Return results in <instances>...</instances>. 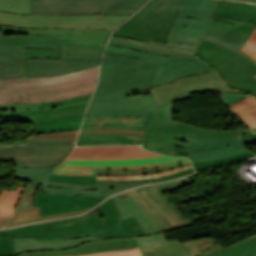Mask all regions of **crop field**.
Segmentation results:
<instances>
[{
    "mask_svg": "<svg viewBox=\"0 0 256 256\" xmlns=\"http://www.w3.org/2000/svg\"><path fill=\"white\" fill-rule=\"evenodd\" d=\"M113 30L88 29H25L0 26V35L45 34L63 35V41L105 45Z\"/></svg>",
    "mask_w": 256,
    "mask_h": 256,
    "instance_id": "733c2abd",
    "label": "crop field"
},
{
    "mask_svg": "<svg viewBox=\"0 0 256 256\" xmlns=\"http://www.w3.org/2000/svg\"><path fill=\"white\" fill-rule=\"evenodd\" d=\"M98 207L100 208L101 214L104 218L105 225L108 226L116 224V229L119 228V215L113 199H108Z\"/></svg>",
    "mask_w": 256,
    "mask_h": 256,
    "instance_id": "c035e120",
    "label": "crop field"
},
{
    "mask_svg": "<svg viewBox=\"0 0 256 256\" xmlns=\"http://www.w3.org/2000/svg\"><path fill=\"white\" fill-rule=\"evenodd\" d=\"M254 132H256V129H252Z\"/></svg>",
    "mask_w": 256,
    "mask_h": 256,
    "instance_id": "c39391a2",
    "label": "crop field"
},
{
    "mask_svg": "<svg viewBox=\"0 0 256 256\" xmlns=\"http://www.w3.org/2000/svg\"><path fill=\"white\" fill-rule=\"evenodd\" d=\"M218 0H185L168 42L198 44Z\"/></svg>",
    "mask_w": 256,
    "mask_h": 256,
    "instance_id": "28ad6ade",
    "label": "crop field"
},
{
    "mask_svg": "<svg viewBox=\"0 0 256 256\" xmlns=\"http://www.w3.org/2000/svg\"><path fill=\"white\" fill-rule=\"evenodd\" d=\"M164 156L144 151L140 146L75 147L67 159L104 160Z\"/></svg>",
    "mask_w": 256,
    "mask_h": 256,
    "instance_id": "bc2a9ffb",
    "label": "crop field"
},
{
    "mask_svg": "<svg viewBox=\"0 0 256 256\" xmlns=\"http://www.w3.org/2000/svg\"><path fill=\"white\" fill-rule=\"evenodd\" d=\"M241 137L246 144L256 143V134L241 135Z\"/></svg>",
    "mask_w": 256,
    "mask_h": 256,
    "instance_id": "0f1d7ab4",
    "label": "crop field"
},
{
    "mask_svg": "<svg viewBox=\"0 0 256 256\" xmlns=\"http://www.w3.org/2000/svg\"><path fill=\"white\" fill-rule=\"evenodd\" d=\"M25 181L20 182L17 189L3 190L0 194V216H11Z\"/></svg>",
    "mask_w": 256,
    "mask_h": 256,
    "instance_id": "028f5c9d",
    "label": "crop field"
},
{
    "mask_svg": "<svg viewBox=\"0 0 256 256\" xmlns=\"http://www.w3.org/2000/svg\"><path fill=\"white\" fill-rule=\"evenodd\" d=\"M253 155L254 154H252L250 152H246V153H242V154L231 156V157H227V158H221V159H215V160L195 163V164H193V166H194L195 170H202V169H206V168H209V167H212V166L222 165L224 163H228V162H232V161H237V160H241V159H244V158H248V157H251Z\"/></svg>",
    "mask_w": 256,
    "mask_h": 256,
    "instance_id": "03da06ac",
    "label": "crop field"
},
{
    "mask_svg": "<svg viewBox=\"0 0 256 256\" xmlns=\"http://www.w3.org/2000/svg\"><path fill=\"white\" fill-rule=\"evenodd\" d=\"M14 178H18V179L26 180V181H29V182L41 184L43 186L59 187V188H72V189H91V190H95V188H129V187H133V186H136V185L152 183L151 181L134 182V183L96 182V185H87V184H71V183L48 182L49 178L34 177V176L19 175V174H15Z\"/></svg>",
    "mask_w": 256,
    "mask_h": 256,
    "instance_id": "730fd06b",
    "label": "crop field"
},
{
    "mask_svg": "<svg viewBox=\"0 0 256 256\" xmlns=\"http://www.w3.org/2000/svg\"><path fill=\"white\" fill-rule=\"evenodd\" d=\"M83 117L36 123L37 135L79 129Z\"/></svg>",
    "mask_w": 256,
    "mask_h": 256,
    "instance_id": "120bbe31",
    "label": "crop field"
},
{
    "mask_svg": "<svg viewBox=\"0 0 256 256\" xmlns=\"http://www.w3.org/2000/svg\"><path fill=\"white\" fill-rule=\"evenodd\" d=\"M189 183L191 180L186 177L165 184L136 188L116 195V197L135 196L163 232L193 224L162 194Z\"/></svg>",
    "mask_w": 256,
    "mask_h": 256,
    "instance_id": "f4fd0767",
    "label": "crop field"
},
{
    "mask_svg": "<svg viewBox=\"0 0 256 256\" xmlns=\"http://www.w3.org/2000/svg\"><path fill=\"white\" fill-rule=\"evenodd\" d=\"M148 0H102V13L133 14Z\"/></svg>",
    "mask_w": 256,
    "mask_h": 256,
    "instance_id": "bd1437ed",
    "label": "crop field"
},
{
    "mask_svg": "<svg viewBox=\"0 0 256 256\" xmlns=\"http://www.w3.org/2000/svg\"><path fill=\"white\" fill-rule=\"evenodd\" d=\"M229 108L242 117L250 128H256V97L251 95Z\"/></svg>",
    "mask_w": 256,
    "mask_h": 256,
    "instance_id": "5866460e",
    "label": "crop field"
},
{
    "mask_svg": "<svg viewBox=\"0 0 256 256\" xmlns=\"http://www.w3.org/2000/svg\"><path fill=\"white\" fill-rule=\"evenodd\" d=\"M88 210H90V209L56 214V215H50V216H44V217H41L39 207L18 210V211H15L13 219L11 218L12 220H10V222L3 228L13 227V226H17V225H21V224H25V223L36 222V221L79 215Z\"/></svg>",
    "mask_w": 256,
    "mask_h": 256,
    "instance_id": "eef30255",
    "label": "crop field"
},
{
    "mask_svg": "<svg viewBox=\"0 0 256 256\" xmlns=\"http://www.w3.org/2000/svg\"><path fill=\"white\" fill-rule=\"evenodd\" d=\"M73 145H23L0 148V160H15L16 167L52 168L66 158Z\"/></svg>",
    "mask_w": 256,
    "mask_h": 256,
    "instance_id": "22f410ed",
    "label": "crop field"
},
{
    "mask_svg": "<svg viewBox=\"0 0 256 256\" xmlns=\"http://www.w3.org/2000/svg\"><path fill=\"white\" fill-rule=\"evenodd\" d=\"M142 147L146 150L166 154V155H178L185 153L184 148H178L174 146L168 145H160V144H142Z\"/></svg>",
    "mask_w": 256,
    "mask_h": 256,
    "instance_id": "25e5ab78",
    "label": "crop field"
},
{
    "mask_svg": "<svg viewBox=\"0 0 256 256\" xmlns=\"http://www.w3.org/2000/svg\"><path fill=\"white\" fill-rule=\"evenodd\" d=\"M144 120L135 119H85L81 128H133L144 129Z\"/></svg>",
    "mask_w": 256,
    "mask_h": 256,
    "instance_id": "d3111659",
    "label": "crop field"
},
{
    "mask_svg": "<svg viewBox=\"0 0 256 256\" xmlns=\"http://www.w3.org/2000/svg\"><path fill=\"white\" fill-rule=\"evenodd\" d=\"M98 75L39 86L38 78L0 80V104L38 103L92 94Z\"/></svg>",
    "mask_w": 256,
    "mask_h": 256,
    "instance_id": "34b2d1b8",
    "label": "crop field"
},
{
    "mask_svg": "<svg viewBox=\"0 0 256 256\" xmlns=\"http://www.w3.org/2000/svg\"><path fill=\"white\" fill-rule=\"evenodd\" d=\"M249 95H245V94H231V93H224L221 96V99L223 100V102L229 107L232 104H234L235 102L247 97Z\"/></svg>",
    "mask_w": 256,
    "mask_h": 256,
    "instance_id": "db79e9e6",
    "label": "crop field"
},
{
    "mask_svg": "<svg viewBox=\"0 0 256 256\" xmlns=\"http://www.w3.org/2000/svg\"><path fill=\"white\" fill-rule=\"evenodd\" d=\"M176 80L177 82L151 89L149 94H152L157 105L171 99L175 102L190 97L194 91L246 93L229 88L216 70Z\"/></svg>",
    "mask_w": 256,
    "mask_h": 256,
    "instance_id": "d1516ede",
    "label": "crop field"
},
{
    "mask_svg": "<svg viewBox=\"0 0 256 256\" xmlns=\"http://www.w3.org/2000/svg\"><path fill=\"white\" fill-rule=\"evenodd\" d=\"M144 235L141 228L137 224L134 217L120 220V229L100 233V234H85V235H68V239L71 238H80V237H87V236H98L102 238H114V237H126V236H141Z\"/></svg>",
    "mask_w": 256,
    "mask_h": 256,
    "instance_id": "750c4746",
    "label": "crop field"
},
{
    "mask_svg": "<svg viewBox=\"0 0 256 256\" xmlns=\"http://www.w3.org/2000/svg\"><path fill=\"white\" fill-rule=\"evenodd\" d=\"M61 50L26 49V58H54L60 59Z\"/></svg>",
    "mask_w": 256,
    "mask_h": 256,
    "instance_id": "1f2cbd36",
    "label": "crop field"
},
{
    "mask_svg": "<svg viewBox=\"0 0 256 256\" xmlns=\"http://www.w3.org/2000/svg\"><path fill=\"white\" fill-rule=\"evenodd\" d=\"M192 168V165L180 167L175 170H169L167 172H160L156 174H149V175H139V176H96V179H148V178H156L164 175H168L180 170Z\"/></svg>",
    "mask_w": 256,
    "mask_h": 256,
    "instance_id": "73cf0c24",
    "label": "crop field"
},
{
    "mask_svg": "<svg viewBox=\"0 0 256 256\" xmlns=\"http://www.w3.org/2000/svg\"><path fill=\"white\" fill-rule=\"evenodd\" d=\"M125 189H96V191L91 190H72V189H58L44 187L43 193H54L63 195H79V196H92V197H108L115 192L122 191Z\"/></svg>",
    "mask_w": 256,
    "mask_h": 256,
    "instance_id": "e1f06a70",
    "label": "crop field"
},
{
    "mask_svg": "<svg viewBox=\"0 0 256 256\" xmlns=\"http://www.w3.org/2000/svg\"><path fill=\"white\" fill-rule=\"evenodd\" d=\"M139 246L165 242L166 239L163 233L152 234L148 236L135 237Z\"/></svg>",
    "mask_w": 256,
    "mask_h": 256,
    "instance_id": "0765c3eb",
    "label": "crop field"
},
{
    "mask_svg": "<svg viewBox=\"0 0 256 256\" xmlns=\"http://www.w3.org/2000/svg\"><path fill=\"white\" fill-rule=\"evenodd\" d=\"M42 191L43 187L40 186L34 203L35 207L40 206L42 216L91 208L104 200V198L42 194Z\"/></svg>",
    "mask_w": 256,
    "mask_h": 256,
    "instance_id": "4a817a6b",
    "label": "crop field"
},
{
    "mask_svg": "<svg viewBox=\"0 0 256 256\" xmlns=\"http://www.w3.org/2000/svg\"><path fill=\"white\" fill-rule=\"evenodd\" d=\"M10 217H0V228L9 221Z\"/></svg>",
    "mask_w": 256,
    "mask_h": 256,
    "instance_id": "ae633e8c",
    "label": "crop field"
},
{
    "mask_svg": "<svg viewBox=\"0 0 256 256\" xmlns=\"http://www.w3.org/2000/svg\"><path fill=\"white\" fill-rule=\"evenodd\" d=\"M194 170L192 169H188V170H184V171H180L168 176H164V177H160V178H156V179H149L152 180L153 182L156 181H162V180H168V179H174V178H178L190 173H193ZM96 181H106V182H134V181H145V180H96Z\"/></svg>",
    "mask_w": 256,
    "mask_h": 256,
    "instance_id": "447ae74e",
    "label": "crop field"
},
{
    "mask_svg": "<svg viewBox=\"0 0 256 256\" xmlns=\"http://www.w3.org/2000/svg\"><path fill=\"white\" fill-rule=\"evenodd\" d=\"M138 246L134 237L114 238L107 240H99L94 242H87L79 247L60 250V251H41L23 253L19 256H61L73 254H86L94 252H103L111 250L126 249Z\"/></svg>",
    "mask_w": 256,
    "mask_h": 256,
    "instance_id": "dafd665d",
    "label": "crop field"
},
{
    "mask_svg": "<svg viewBox=\"0 0 256 256\" xmlns=\"http://www.w3.org/2000/svg\"><path fill=\"white\" fill-rule=\"evenodd\" d=\"M86 107L87 106L56 110V111L40 113V114H30V115H25V117L34 123L49 121V120H56V119H63V118H70V117H78V116L84 115Z\"/></svg>",
    "mask_w": 256,
    "mask_h": 256,
    "instance_id": "d32e631a",
    "label": "crop field"
},
{
    "mask_svg": "<svg viewBox=\"0 0 256 256\" xmlns=\"http://www.w3.org/2000/svg\"><path fill=\"white\" fill-rule=\"evenodd\" d=\"M114 229L115 225L105 227L103 218L98 213L0 230V234H14V237L32 236L41 241H50L67 239V234L99 233Z\"/></svg>",
    "mask_w": 256,
    "mask_h": 256,
    "instance_id": "5a996713",
    "label": "crop field"
},
{
    "mask_svg": "<svg viewBox=\"0 0 256 256\" xmlns=\"http://www.w3.org/2000/svg\"><path fill=\"white\" fill-rule=\"evenodd\" d=\"M0 256H14L13 235H0Z\"/></svg>",
    "mask_w": 256,
    "mask_h": 256,
    "instance_id": "0fb4a251",
    "label": "crop field"
},
{
    "mask_svg": "<svg viewBox=\"0 0 256 256\" xmlns=\"http://www.w3.org/2000/svg\"><path fill=\"white\" fill-rule=\"evenodd\" d=\"M110 45L122 46L137 49L144 52L155 53L159 55L193 57L198 45L173 44L166 42H141L127 38L111 36ZM175 47V48H174Z\"/></svg>",
    "mask_w": 256,
    "mask_h": 256,
    "instance_id": "92a150f3",
    "label": "crop field"
},
{
    "mask_svg": "<svg viewBox=\"0 0 256 256\" xmlns=\"http://www.w3.org/2000/svg\"><path fill=\"white\" fill-rule=\"evenodd\" d=\"M175 139L188 142V148L185 149L187 157L192 163L227 157L238 153L248 151L242 139L231 140H208L197 139L194 137L175 135Z\"/></svg>",
    "mask_w": 256,
    "mask_h": 256,
    "instance_id": "d9b57169",
    "label": "crop field"
},
{
    "mask_svg": "<svg viewBox=\"0 0 256 256\" xmlns=\"http://www.w3.org/2000/svg\"><path fill=\"white\" fill-rule=\"evenodd\" d=\"M84 105H87V103L86 104L69 106V107H77V106H84ZM69 107H63V108H69ZM57 109H62V108H57ZM51 110H56V109H51ZM51 110L35 111V112H0V115H2V116H21V117H24V114L47 112V111H51Z\"/></svg>",
    "mask_w": 256,
    "mask_h": 256,
    "instance_id": "78b8030e",
    "label": "crop field"
},
{
    "mask_svg": "<svg viewBox=\"0 0 256 256\" xmlns=\"http://www.w3.org/2000/svg\"><path fill=\"white\" fill-rule=\"evenodd\" d=\"M55 168L43 169V168H16V173L50 177Z\"/></svg>",
    "mask_w": 256,
    "mask_h": 256,
    "instance_id": "9d1cf04e",
    "label": "crop field"
},
{
    "mask_svg": "<svg viewBox=\"0 0 256 256\" xmlns=\"http://www.w3.org/2000/svg\"><path fill=\"white\" fill-rule=\"evenodd\" d=\"M131 15H13L0 12V25L25 28L115 29Z\"/></svg>",
    "mask_w": 256,
    "mask_h": 256,
    "instance_id": "dd49c442",
    "label": "crop field"
},
{
    "mask_svg": "<svg viewBox=\"0 0 256 256\" xmlns=\"http://www.w3.org/2000/svg\"><path fill=\"white\" fill-rule=\"evenodd\" d=\"M74 256H142L138 247L126 250L87 254V255H74Z\"/></svg>",
    "mask_w": 256,
    "mask_h": 256,
    "instance_id": "1d79db26",
    "label": "crop field"
},
{
    "mask_svg": "<svg viewBox=\"0 0 256 256\" xmlns=\"http://www.w3.org/2000/svg\"><path fill=\"white\" fill-rule=\"evenodd\" d=\"M114 198L120 209L122 219L134 216L145 235L161 232L135 197Z\"/></svg>",
    "mask_w": 256,
    "mask_h": 256,
    "instance_id": "4177f3b9",
    "label": "crop field"
},
{
    "mask_svg": "<svg viewBox=\"0 0 256 256\" xmlns=\"http://www.w3.org/2000/svg\"><path fill=\"white\" fill-rule=\"evenodd\" d=\"M238 1H244V2L256 3V0H238Z\"/></svg>",
    "mask_w": 256,
    "mask_h": 256,
    "instance_id": "d14b1444",
    "label": "crop field"
},
{
    "mask_svg": "<svg viewBox=\"0 0 256 256\" xmlns=\"http://www.w3.org/2000/svg\"><path fill=\"white\" fill-rule=\"evenodd\" d=\"M184 0H150L112 35L165 42Z\"/></svg>",
    "mask_w": 256,
    "mask_h": 256,
    "instance_id": "412701ff",
    "label": "crop field"
},
{
    "mask_svg": "<svg viewBox=\"0 0 256 256\" xmlns=\"http://www.w3.org/2000/svg\"><path fill=\"white\" fill-rule=\"evenodd\" d=\"M175 132L209 139L240 138L238 134L252 133L250 129L236 131H207L180 123L176 125L146 124L143 143H160L187 148V143L174 140Z\"/></svg>",
    "mask_w": 256,
    "mask_h": 256,
    "instance_id": "cbeb9de0",
    "label": "crop field"
},
{
    "mask_svg": "<svg viewBox=\"0 0 256 256\" xmlns=\"http://www.w3.org/2000/svg\"><path fill=\"white\" fill-rule=\"evenodd\" d=\"M254 28L242 21L212 17L201 39L238 52Z\"/></svg>",
    "mask_w": 256,
    "mask_h": 256,
    "instance_id": "5142ce71",
    "label": "crop field"
},
{
    "mask_svg": "<svg viewBox=\"0 0 256 256\" xmlns=\"http://www.w3.org/2000/svg\"><path fill=\"white\" fill-rule=\"evenodd\" d=\"M86 102H88V101H86ZM86 102H80V103H86ZM80 103H73V104H66V105H56V106H51V107H46V108H43L41 103H38V104H19V105H0V111H35V110H44V109H51V108L69 106V105L80 104Z\"/></svg>",
    "mask_w": 256,
    "mask_h": 256,
    "instance_id": "5d738f31",
    "label": "crop field"
},
{
    "mask_svg": "<svg viewBox=\"0 0 256 256\" xmlns=\"http://www.w3.org/2000/svg\"><path fill=\"white\" fill-rule=\"evenodd\" d=\"M157 64L104 55L99 84L85 116H141L145 123L175 124L172 100L156 106L151 95L144 96Z\"/></svg>",
    "mask_w": 256,
    "mask_h": 256,
    "instance_id": "8a807250",
    "label": "crop field"
},
{
    "mask_svg": "<svg viewBox=\"0 0 256 256\" xmlns=\"http://www.w3.org/2000/svg\"><path fill=\"white\" fill-rule=\"evenodd\" d=\"M98 69L99 67L85 70V71H80L72 74H67L63 76H57V77H50V78H39L40 85H45V84H53V83H59V82H64L68 80H73V79H78L82 77H87V76H92L98 74Z\"/></svg>",
    "mask_w": 256,
    "mask_h": 256,
    "instance_id": "c21b1889",
    "label": "crop field"
},
{
    "mask_svg": "<svg viewBox=\"0 0 256 256\" xmlns=\"http://www.w3.org/2000/svg\"><path fill=\"white\" fill-rule=\"evenodd\" d=\"M91 97L90 96H84V97H78V98H72V99H66V100H60L56 102H51V103H42L44 107L46 106H51V105H56V104H66V103H73V102H79V101H86L89 100Z\"/></svg>",
    "mask_w": 256,
    "mask_h": 256,
    "instance_id": "7b73153f",
    "label": "crop field"
},
{
    "mask_svg": "<svg viewBox=\"0 0 256 256\" xmlns=\"http://www.w3.org/2000/svg\"><path fill=\"white\" fill-rule=\"evenodd\" d=\"M85 118H135V119H144V118H141V117H127V116L85 117Z\"/></svg>",
    "mask_w": 256,
    "mask_h": 256,
    "instance_id": "e1d0b9f6",
    "label": "crop field"
},
{
    "mask_svg": "<svg viewBox=\"0 0 256 256\" xmlns=\"http://www.w3.org/2000/svg\"><path fill=\"white\" fill-rule=\"evenodd\" d=\"M104 47L62 42V36H0V78L25 77V48L62 49L61 60L27 59V77H43L99 65Z\"/></svg>",
    "mask_w": 256,
    "mask_h": 256,
    "instance_id": "ac0d7876",
    "label": "crop field"
},
{
    "mask_svg": "<svg viewBox=\"0 0 256 256\" xmlns=\"http://www.w3.org/2000/svg\"><path fill=\"white\" fill-rule=\"evenodd\" d=\"M144 130L133 129H81L79 135L116 134V135H143Z\"/></svg>",
    "mask_w": 256,
    "mask_h": 256,
    "instance_id": "b54c1fbb",
    "label": "crop field"
},
{
    "mask_svg": "<svg viewBox=\"0 0 256 256\" xmlns=\"http://www.w3.org/2000/svg\"><path fill=\"white\" fill-rule=\"evenodd\" d=\"M79 130H71L59 133L44 134L30 139L16 141L14 145L32 144V143H65L75 142Z\"/></svg>",
    "mask_w": 256,
    "mask_h": 256,
    "instance_id": "1d83c4d3",
    "label": "crop field"
},
{
    "mask_svg": "<svg viewBox=\"0 0 256 256\" xmlns=\"http://www.w3.org/2000/svg\"><path fill=\"white\" fill-rule=\"evenodd\" d=\"M238 53L250 60L256 66V29L245 46H242Z\"/></svg>",
    "mask_w": 256,
    "mask_h": 256,
    "instance_id": "d23c7cc5",
    "label": "crop field"
},
{
    "mask_svg": "<svg viewBox=\"0 0 256 256\" xmlns=\"http://www.w3.org/2000/svg\"><path fill=\"white\" fill-rule=\"evenodd\" d=\"M211 256H256V238L247 240Z\"/></svg>",
    "mask_w": 256,
    "mask_h": 256,
    "instance_id": "0bd39190",
    "label": "crop field"
},
{
    "mask_svg": "<svg viewBox=\"0 0 256 256\" xmlns=\"http://www.w3.org/2000/svg\"><path fill=\"white\" fill-rule=\"evenodd\" d=\"M191 164L190 162L188 163H183L171 167H165V168H160V169H155V170H146V171H96V175H138V174H149V173H155V172H160V171H167L169 169H175L180 166L184 165H189Z\"/></svg>",
    "mask_w": 256,
    "mask_h": 256,
    "instance_id": "425ffa30",
    "label": "crop field"
},
{
    "mask_svg": "<svg viewBox=\"0 0 256 256\" xmlns=\"http://www.w3.org/2000/svg\"><path fill=\"white\" fill-rule=\"evenodd\" d=\"M49 181L95 184V176L52 175Z\"/></svg>",
    "mask_w": 256,
    "mask_h": 256,
    "instance_id": "89e229c0",
    "label": "crop field"
},
{
    "mask_svg": "<svg viewBox=\"0 0 256 256\" xmlns=\"http://www.w3.org/2000/svg\"><path fill=\"white\" fill-rule=\"evenodd\" d=\"M143 136L92 135L79 136L77 146L140 144Z\"/></svg>",
    "mask_w": 256,
    "mask_h": 256,
    "instance_id": "ae1a2a85",
    "label": "crop field"
},
{
    "mask_svg": "<svg viewBox=\"0 0 256 256\" xmlns=\"http://www.w3.org/2000/svg\"><path fill=\"white\" fill-rule=\"evenodd\" d=\"M31 0H0V11L30 15Z\"/></svg>",
    "mask_w": 256,
    "mask_h": 256,
    "instance_id": "b80d0937",
    "label": "crop field"
},
{
    "mask_svg": "<svg viewBox=\"0 0 256 256\" xmlns=\"http://www.w3.org/2000/svg\"><path fill=\"white\" fill-rule=\"evenodd\" d=\"M37 189L38 188L35 187H26L16 210L33 207L34 197Z\"/></svg>",
    "mask_w": 256,
    "mask_h": 256,
    "instance_id": "dbb93151",
    "label": "crop field"
},
{
    "mask_svg": "<svg viewBox=\"0 0 256 256\" xmlns=\"http://www.w3.org/2000/svg\"><path fill=\"white\" fill-rule=\"evenodd\" d=\"M104 54L129 56L159 62L146 94L149 93L151 87L174 82L175 78L214 70L213 67L196 54L194 58L159 56L110 45L107 46Z\"/></svg>",
    "mask_w": 256,
    "mask_h": 256,
    "instance_id": "d8731c3e",
    "label": "crop field"
},
{
    "mask_svg": "<svg viewBox=\"0 0 256 256\" xmlns=\"http://www.w3.org/2000/svg\"><path fill=\"white\" fill-rule=\"evenodd\" d=\"M101 0H33L32 14H97Z\"/></svg>",
    "mask_w": 256,
    "mask_h": 256,
    "instance_id": "214f88e0",
    "label": "crop field"
},
{
    "mask_svg": "<svg viewBox=\"0 0 256 256\" xmlns=\"http://www.w3.org/2000/svg\"><path fill=\"white\" fill-rule=\"evenodd\" d=\"M98 237H87L81 239H71L62 241L40 242L29 238H14L15 256L22 252L41 251V250H60L81 245L86 241L99 240Z\"/></svg>",
    "mask_w": 256,
    "mask_h": 256,
    "instance_id": "a9b5d70f",
    "label": "crop field"
},
{
    "mask_svg": "<svg viewBox=\"0 0 256 256\" xmlns=\"http://www.w3.org/2000/svg\"><path fill=\"white\" fill-rule=\"evenodd\" d=\"M196 54L217 69L230 87L256 96V67L241 54L202 40Z\"/></svg>",
    "mask_w": 256,
    "mask_h": 256,
    "instance_id": "e52e79f7",
    "label": "crop field"
},
{
    "mask_svg": "<svg viewBox=\"0 0 256 256\" xmlns=\"http://www.w3.org/2000/svg\"><path fill=\"white\" fill-rule=\"evenodd\" d=\"M186 157H158L131 160L84 161L65 160L56 167L54 174L95 175V170H145L188 162Z\"/></svg>",
    "mask_w": 256,
    "mask_h": 256,
    "instance_id": "3316defc",
    "label": "crop field"
},
{
    "mask_svg": "<svg viewBox=\"0 0 256 256\" xmlns=\"http://www.w3.org/2000/svg\"><path fill=\"white\" fill-rule=\"evenodd\" d=\"M218 243L217 240L198 250L192 240L179 243L178 241L165 242L160 244L140 247L144 256H197L203 250Z\"/></svg>",
    "mask_w": 256,
    "mask_h": 256,
    "instance_id": "00972430",
    "label": "crop field"
}]
</instances>
